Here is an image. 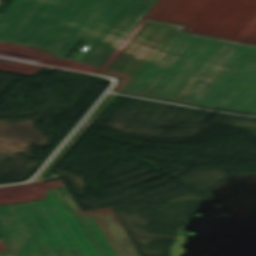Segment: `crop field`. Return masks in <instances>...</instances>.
Listing matches in <instances>:
<instances>
[{"label": "crop field", "mask_w": 256, "mask_h": 256, "mask_svg": "<svg viewBox=\"0 0 256 256\" xmlns=\"http://www.w3.org/2000/svg\"><path fill=\"white\" fill-rule=\"evenodd\" d=\"M154 2L14 0L0 15V42L35 47L64 58L82 39H88L89 48L76 61L100 67ZM67 47L72 49L64 53Z\"/></svg>", "instance_id": "2"}, {"label": "crop field", "mask_w": 256, "mask_h": 256, "mask_svg": "<svg viewBox=\"0 0 256 256\" xmlns=\"http://www.w3.org/2000/svg\"><path fill=\"white\" fill-rule=\"evenodd\" d=\"M66 185L43 195L0 201V205L50 201L0 208V235L13 256H115L89 211L81 212Z\"/></svg>", "instance_id": "3"}, {"label": "crop field", "mask_w": 256, "mask_h": 256, "mask_svg": "<svg viewBox=\"0 0 256 256\" xmlns=\"http://www.w3.org/2000/svg\"><path fill=\"white\" fill-rule=\"evenodd\" d=\"M198 106L256 115V46L246 47Z\"/></svg>", "instance_id": "4"}, {"label": "crop field", "mask_w": 256, "mask_h": 256, "mask_svg": "<svg viewBox=\"0 0 256 256\" xmlns=\"http://www.w3.org/2000/svg\"><path fill=\"white\" fill-rule=\"evenodd\" d=\"M143 19L99 74L122 78L114 92L194 105L247 46Z\"/></svg>", "instance_id": "1"}]
</instances>
